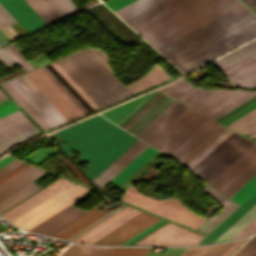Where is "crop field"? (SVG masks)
Here are the masks:
<instances>
[{"instance_id": "crop-field-60", "label": "crop field", "mask_w": 256, "mask_h": 256, "mask_svg": "<svg viewBox=\"0 0 256 256\" xmlns=\"http://www.w3.org/2000/svg\"><path fill=\"white\" fill-rule=\"evenodd\" d=\"M0 16L9 24V26L17 23V21L1 6V4H0Z\"/></svg>"}, {"instance_id": "crop-field-57", "label": "crop field", "mask_w": 256, "mask_h": 256, "mask_svg": "<svg viewBox=\"0 0 256 256\" xmlns=\"http://www.w3.org/2000/svg\"><path fill=\"white\" fill-rule=\"evenodd\" d=\"M100 60L101 62L112 72L108 65L107 55L104 51L96 48H89Z\"/></svg>"}, {"instance_id": "crop-field-18", "label": "crop field", "mask_w": 256, "mask_h": 256, "mask_svg": "<svg viewBox=\"0 0 256 256\" xmlns=\"http://www.w3.org/2000/svg\"><path fill=\"white\" fill-rule=\"evenodd\" d=\"M70 183L71 182L60 178L57 181H55L54 183H52L51 185H49L48 187H46L45 189H43V190L41 189L42 191L30 196L29 198L22 201L21 203L14 206L13 208H11L10 210H8L7 212L3 213L0 216L4 217L5 219L10 221L13 218L17 217L21 213L25 212L32 206L36 205L40 201L44 200L45 198L49 197L50 195L54 194L55 192H57L58 190L62 189L63 187L67 186Z\"/></svg>"}, {"instance_id": "crop-field-33", "label": "crop field", "mask_w": 256, "mask_h": 256, "mask_svg": "<svg viewBox=\"0 0 256 256\" xmlns=\"http://www.w3.org/2000/svg\"><path fill=\"white\" fill-rule=\"evenodd\" d=\"M161 0H136L116 11H114L123 20L152 6ZM127 20V19H126ZM125 21V20H124Z\"/></svg>"}, {"instance_id": "crop-field-69", "label": "crop field", "mask_w": 256, "mask_h": 256, "mask_svg": "<svg viewBox=\"0 0 256 256\" xmlns=\"http://www.w3.org/2000/svg\"><path fill=\"white\" fill-rule=\"evenodd\" d=\"M7 99V97L0 91V101Z\"/></svg>"}, {"instance_id": "crop-field-39", "label": "crop field", "mask_w": 256, "mask_h": 256, "mask_svg": "<svg viewBox=\"0 0 256 256\" xmlns=\"http://www.w3.org/2000/svg\"><path fill=\"white\" fill-rule=\"evenodd\" d=\"M0 3L27 32L36 29V27L14 6L10 0H0Z\"/></svg>"}, {"instance_id": "crop-field-50", "label": "crop field", "mask_w": 256, "mask_h": 256, "mask_svg": "<svg viewBox=\"0 0 256 256\" xmlns=\"http://www.w3.org/2000/svg\"><path fill=\"white\" fill-rule=\"evenodd\" d=\"M31 127H33V125L29 121L24 123V124H22V125H19V126L13 128L11 130H8V131L0 134V141L4 140V139H6V138H8L10 136H13V135H15L17 133H20V132H22V131H24L26 129H29Z\"/></svg>"}, {"instance_id": "crop-field-8", "label": "crop field", "mask_w": 256, "mask_h": 256, "mask_svg": "<svg viewBox=\"0 0 256 256\" xmlns=\"http://www.w3.org/2000/svg\"><path fill=\"white\" fill-rule=\"evenodd\" d=\"M256 175V144L254 143L209 185L231 197Z\"/></svg>"}, {"instance_id": "crop-field-47", "label": "crop field", "mask_w": 256, "mask_h": 256, "mask_svg": "<svg viewBox=\"0 0 256 256\" xmlns=\"http://www.w3.org/2000/svg\"><path fill=\"white\" fill-rule=\"evenodd\" d=\"M10 56L24 69L25 72L33 69L32 65L29 64L25 58L21 55L18 49L14 46L13 43L3 47Z\"/></svg>"}, {"instance_id": "crop-field-45", "label": "crop field", "mask_w": 256, "mask_h": 256, "mask_svg": "<svg viewBox=\"0 0 256 256\" xmlns=\"http://www.w3.org/2000/svg\"><path fill=\"white\" fill-rule=\"evenodd\" d=\"M133 209L134 208H132L130 206L124 208L120 212L116 213L112 217L108 218L104 222L100 223L99 225H97L96 227L92 228L91 230H89L88 232L84 233L83 235H81L80 237L76 238L73 241L80 242V241L84 240L85 238L89 237L93 233L97 232L98 230L102 229L103 227L107 226L108 224L112 223L113 221L117 220L118 218H120L121 216L125 215L126 213L130 212Z\"/></svg>"}, {"instance_id": "crop-field-17", "label": "crop field", "mask_w": 256, "mask_h": 256, "mask_svg": "<svg viewBox=\"0 0 256 256\" xmlns=\"http://www.w3.org/2000/svg\"><path fill=\"white\" fill-rule=\"evenodd\" d=\"M148 146L138 140L93 182L102 188Z\"/></svg>"}, {"instance_id": "crop-field-2", "label": "crop field", "mask_w": 256, "mask_h": 256, "mask_svg": "<svg viewBox=\"0 0 256 256\" xmlns=\"http://www.w3.org/2000/svg\"><path fill=\"white\" fill-rule=\"evenodd\" d=\"M56 133L66 142L60 146L69 157L73 148L92 164L84 171L92 181L138 140L100 115Z\"/></svg>"}, {"instance_id": "crop-field-59", "label": "crop field", "mask_w": 256, "mask_h": 256, "mask_svg": "<svg viewBox=\"0 0 256 256\" xmlns=\"http://www.w3.org/2000/svg\"><path fill=\"white\" fill-rule=\"evenodd\" d=\"M21 116H23V114L19 110H17V111H15L13 113H10V114H8L6 116L1 117L0 118V125L5 124V123H7L9 121H12V120H14L16 118H19Z\"/></svg>"}, {"instance_id": "crop-field-11", "label": "crop field", "mask_w": 256, "mask_h": 256, "mask_svg": "<svg viewBox=\"0 0 256 256\" xmlns=\"http://www.w3.org/2000/svg\"><path fill=\"white\" fill-rule=\"evenodd\" d=\"M174 101L175 99L157 91L118 126L136 136Z\"/></svg>"}, {"instance_id": "crop-field-37", "label": "crop field", "mask_w": 256, "mask_h": 256, "mask_svg": "<svg viewBox=\"0 0 256 256\" xmlns=\"http://www.w3.org/2000/svg\"><path fill=\"white\" fill-rule=\"evenodd\" d=\"M42 133L40 130H38L36 127H33L29 130H26L20 134H17L13 137H10L4 141L0 142V154L4 151L10 149L11 147L15 146L21 141L27 140L29 138H32L38 134Z\"/></svg>"}, {"instance_id": "crop-field-24", "label": "crop field", "mask_w": 256, "mask_h": 256, "mask_svg": "<svg viewBox=\"0 0 256 256\" xmlns=\"http://www.w3.org/2000/svg\"><path fill=\"white\" fill-rule=\"evenodd\" d=\"M170 78L172 77L169 76L165 71H163L159 66L155 64L147 75L135 81L134 83L126 86V88L134 94L151 86L165 82Z\"/></svg>"}, {"instance_id": "crop-field-21", "label": "crop field", "mask_w": 256, "mask_h": 256, "mask_svg": "<svg viewBox=\"0 0 256 256\" xmlns=\"http://www.w3.org/2000/svg\"><path fill=\"white\" fill-rule=\"evenodd\" d=\"M110 201L111 199L105 201L101 205L97 206L96 208L92 209L88 213L84 214L83 216L79 217L75 221L71 222L67 226L58 230L57 232L52 234V236H56L64 239L70 237L74 233L78 232L79 230L83 229L84 227L88 226L92 222L96 221L97 219L107 214V212L98 211L97 209Z\"/></svg>"}, {"instance_id": "crop-field-25", "label": "crop field", "mask_w": 256, "mask_h": 256, "mask_svg": "<svg viewBox=\"0 0 256 256\" xmlns=\"http://www.w3.org/2000/svg\"><path fill=\"white\" fill-rule=\"evenodd\" d=\"M41 189L32 181L0 201V214Z\"/></svg>"}, {"instance_id": "crop-field-27", "label": "crop field", "mask_w": 256, "mask_h": 256, "mask_svg": "<svg viewBox=\"0 0 256 256\" xmlns=\"http://www.w3.org/2000/svg\"><path fill=\"white\" fill-rule=\"evenodd\" d=\"M226 126L256 139V108Z\"/></svg>"}, {"instance_id": "crop-field-13", "label": "crop field", "mask_w": 256, "mask_h": 256, "mask_svg": "<svg viewBox=\"0 0 256 256\" xmlns=\"http://www.w3.org/2000/svg\"><path fill=\"white\" fill-rule=\"evenodd\" d=\"M9 83L52 128L67 122L24 75L9 81Z\"/></svg>"}, {"instance_id": "crop-field-70", "label": "crop field", "mask_w": 256, "mask_h": 256, "mask_svg": "<svg viewBox=\"0 0 256 256\" xmlns=\"http://www.w3.org/2000/svg\"><path fill=\"white\" fill-rule=\"evenodd\" d=\"M8 102H10V101H6V102H4V103H1L0 106L3 105V104H6V103H8Z\"/></svg>"}, {"instance_id": "crop-field-38", "label": "crop field", "mask_w": 256, "mask_h": 256, "mask_svg": "<svg viewBox=\"0 0 256 256\" xmlns=\"http://www.w3.org/2000/svg\"><path fill=\"white\" fill-rule=\"evenodd\" d=\"M255 107L256 96L216 121L226 125Z\"/></svg>"}, {"instance_id": "crop-field-64", "label": "crop field", "mask_w": 256, "mask_h": 256, "mask_svg": "<svg viewBox=\"0 0 256 256\" xmlns=\"http://www.w3.org/2000/svg\"><path fill=\"white\" fill-rule=\"evenodd\" d=\"M24 120H26V117H25V116H23V117H21V118H19V119H16V120H14V121H12V122H9V123H7V124H5V125H2V126H0V131L3 130V129H5V128H8V127H10V126H12V125H14V124H17V123H19V122H21V121H24ZM26 121H28V120H26ZM26 121H24V122H26ZM24 122H21V123H24ZM21 123H19V124H21ZM19 124H17V125H19ZM17 125H15V126H17ZM12 127H14V126H12ZM12 127H10V128H12ZM10 128H8V129H10ZM5 130H7V129H5ZM5 130H3V131H5ZM3 131H1V132H3ZM1 132H0V133H1Z\"/></svg>"}, {"instance_id": "crop-field-29", "label": "crop field", "mask_w": 256, "mask_h": 256, "mask_svg": "<svg viewBox=\"0 0 256 256\" xmlns=\"http://www.w3.org/2000/svg\"><path fill=\"white\" fill-rule=\"evenodd\" d=\"M1 86L43 130L51 129V127L34 111V109L18 94V92L8 82L1 84Z\"/></svg>"}, {"instance_id": "crop-field-48", "label": "crop field", "mask_w": 256, "mask_h": 256, "mask_svg": "<svg viewBox=\"0 0 256 256\" xmlns=\"http://www.w3.org/2000/svg\"><path fill=\"white\" fill-rule=\"evenodd\" d=\"M234 256H256V236L252 237Z\"/></svg>"}, {"instance_id": "crop-field-49", "label": "crop field", "mask_w": 256, "mask_h": 256, "mask_svg": "<svg viewBox=\"0 0 256 256\" xmlns=\"http://www.w3.org/2000/svg\"><path fill=\"white\" fill-rule=\"evenodd\" d=\"M230 244L208 246L198 256H219Z\"/></svg>"}, {"instance_id": "crop-field-5", "label": "crop field", "mask_w": 256, "mask_h": 256, "mask_svg": "<svg viewBox=\"0 0 256 256\" xmlns=\"http://www.w3.org/2000/svg\"><path fill=\"white\" fill-rule=\"evenodd\" d=\"M25 76L68 121L88 113L45 66Z\"/></svg>"}, {"instance_id": "crop-field-40", "label": "crop field", "mask_w": 256, "mask_h": 256, "mask_svg": "<svg viewBox=\"0 0 256 256\" xmlns=\"http://www.w3.org/2000/svg\"><path fill=\"white\" fill-rule=\"evenodd\" d=\"M195 88L196 87L191 86L185 80L181 79L169 86L161 88L160 90L178 99Z\"/></svg>"}, {"instance_id": "crop-field-35", "label": "crop field", "mask_w": 256, "mask_h": 256, "mask_svg": "<svg viewBox=\"0 0 256 256\" xmlns=\"http://www.w3.org/2000/svg\"><path fill=\"white\" fill-rule=\"evenodd\" d=\"M48 8L59 18H63L78 9L72 4L71 0H42Z\"/></svg>"}, {"instance_id": "crop-field-43", "label": "crop field", "mask_w": 256, "mask_h": 256, "mask_svg": "<svg viewBox=\"0 0 256 256\" xmlns=\"http://www.w3.org/2000/svg\"><path fill=\"white\" fill-rule=\"evenodd\" d=\"M49 24L58 18L41 2V0H25Z\"/></svg>"}, {"instance_id": "crop-field-9", "label": "crop field", "mask_w": 256, "mask_h": 256, "mask_svg": "<svg viewBox=\"0 0 256 256\" xmlns=\"http://www.w3.org/2000/svg\"><path fill=\"white\" fill-rule=\"evenodd\" d=\"M123 199L126 202L162 215L194 229H197L205 221V219L196 216L192 211L173 197L156 202L154 200L142 197L132 186H130Z\"/></svg>"}, {"instance_id": "crop-field-15", "label": "crop field", "mask_w": 256, "mask_h": 256, "mask_svg": "<svg viewBox=\"0 0 256 256\" xmlns=\"http://www.w3.org/2000/svg\"><path fill=\"white\" fill-rule=\"evenodd\" d=\"M159 219L143 212L93 244L121 245Z\"/></svg>"}, {"instance_id": "crop-field-7", "label": "crop field", "mask_w": 256, "mask_h": 256, "mask_svg": "<svg viewBox=\"0 0 256 256\" xmlns=\"http://www.w3.org/2000/svg\"><path fill=\"white\" fill-rule=\"evenodd\" d=\"M90 191L72 183L10 222L28 230Z\"/></svg>"}, {"instance_id": "crop-field-23", "label": "crop field", "mask_w": 256, "mask_h": 256, "mask_svg": "<svg viewBox=\"0 0 256 256\" xmlns=\"http://www.w3.org/2000/svg\"><path fill=\"white\" fill-rule=\"evenodd\" d=\"M256 203V193H254L246 202H244L236 211H234L225 221H223L215 230H213L198 245L212 243L227 228H229L238 218H240L248 209Z\"/></svg>"}, {"instance_id": "crop-field-26", "label": "crop field", "mask_w": 256, "mask_h": 256, "mask_svg": "<svg viewBox=\"0 0 256 256\" xmlns=\"http://www.w3.org/2000/svg\"><path fill=\"white\" fill-rule=\"evenodd\" d=\"M158 150L148 147L143 151L135 160H133L125 169H123L115 178L110 182L114 184L116 188L121 184L127 177H129L136 169H138L145 161H147L153 154Z\"/></svg>"}, {"instance_id": "crop-field-62", "label": "crop field", "mask_w": 256, "mask_h": 256, "mask_svg": "<svg viewBox=\"0 0 256 256\" xmlns=\"http://www.w3.org/2000/svg\"><path fill=\"white\" fill-rule=\"evenodd\" d=\"M17 110L12 102L0 107V117Z\"/></svg>"}, {"instance_id": "crop-field-3", "label": "crop field", "mask_w": 256, "mask_h": 256, "mask_svg": "<svg viewBox=\"0 0 256 256\" xmlns=\"http://www.w3.org/2000/svg\"><path fill=\"white\" fill-rule=\"evenodd\" d=\"M221 127L222 125L217 130H215L207 139H205L197 148H195L187 157H185L181 162L183 163L188 157H190L202 144H204ZM226 129L227 128L223 126L204 145H202L190 158H188L183 163V165L186 166L190 161H192L200 152H202L211 142H213ZM241 138L242 136L227 129L223 134H221L213 143H211L202 153H200L186 167L193 174L200 177ZM252 144L253 142L243 137L200 178L209 184L214 178H216L225 168H227L237 157H239Z\"/></svg>"}, {"instance_id": "crop-field-44", "label": "crop field", "mask_w": 256, "mask_h": 256, "mask_svg": "<svg viewBox=\"0 0 256 256\" xmlns=\"http://www.w3.org/2000/svg\"><path fill=\"white\" fill-rule=\"evenodd\" d=\"M254 192H256V176L252 178L245 186H243L235 195L230 199L242 204L246 201Z\"/></svg>"}, {"instance_id": "crop-field-65", "label": "crop field", "mask_w": 256, "mask_h": 256, "mask_svg": "<svg viewBox=\"0 0 256 256\" xmlns=\"http://www.w3.org/2000/svg\"><path fill=\"white\" fill-rule=\"evenodd\" d=\"M164 220H160L158 222H156L155 224H153L152 226H150L149 228H147L146 230H144L143 232L139 233L138 235H136L135 237H133L132 239H130L129 241H127L126 243H124L123 245H126L128 243H130L131 241H133L134 239L138 238L139 236H141L142 234L146 233L147 231H149L150 229L154 228L155 226H157L158 224L162 223Z\"/></svg>"}, {"instance_id": "crop-field-68", "label": "crop field", "mask_w": 256, "mask_h": 256, "mask_svg": "<svg viewBox=\"0 0 256 256\" xmlns=\"http://www.w3.org/2000/svg\"><path fill=\"white\" fill-rule=\"evenodd\" d=\"M8 41V39L0 32V44Z\"/></svg>"}, {"instance_id": "crop-field-34", "label": "crop field", "mask_w": 256, "mask_h": 256, "mask_svg": "<svg viewBox=\"0 0 256 256\" xmlns=\"http://www.w3.org/2000/svg\"><path fill=\"white\" fill-rule=\"evenodd\" d=\"M109 249L71 244L61 256H103Z\"/></svg>"}, {"instance_id": "crop-field-66", "label": "crop field", "mask_w": 256, "mask_h": 256, "mask_svg": "<svg viewBox=\"0 0 256 256\" xmlns=\"http://www.w3.org/2000/svg\"><path fill=\"white\" fill-rule=\"evenodd\" d=\"M252 9L256 11V0H244Z\"/></svg>"}, {"instance_id": "crop-field-52", "label": "crop field", "mask_w": 256, "mask_h": 256, "mask_svg": "<svg viewBox=\"0 0 256 256\" xmlns=\"http://www.w3.org/2000/svg\"><path fill=\"white\" fill-rule=\"evenodd\" d=\"M9 25V24H8ZM0 17V30L9 39L18 37V35L8 26Z\"/></svg>"}, {"instance_id": "crop-field-58", "label": "crop field", "mask_w": 256, "mask_h": 256, "mask_svg": "<svg viewBox=\"0 0 256 256\" xmlns=\"http://www.w3.org/2000/svg\"><path fill=\"white\" fill-rule=\"evenodd\" d=\"M247 239H248V238L235 241V242H234L223 254H221L220 256H230V255L233 254Z\"/></svg>"}, {"instance_id": "crop-field-63", "label": "crop field", "mask_w": 256, "mask_h": 256, "mask_svg": "<svg viewBox=\"0 0 256 256\" xmlns=\"http://www.w3.org/2000/svg\"><path fill=\"white\" fill-rule=\"evenodd\" d=\"M204 248H187L180 256H197Z\"/></svg>"}, {"instance_id": "crop-field-22", "label": "crop field", "mask_w": 256, "mask_h": 256, "mask_svg": "<svg viewBox=\"0 0 256 256\" xmlns=\"http://www.w3.org/2000/svg\"><path fill=\"white\" fill-rule=\"evenodd\" d=\"M61 76L84 98V100L94 109H99L92 100L77 86V84L62 70V68L56 63L51 64ZM50 64L46 67L56 76V78L79 100V102L89 111H94L83 98L60 76V74Z\"/></svg>"}, {"instance_id": "crop-field-41", "label": "crop field", "mask_w": 256, "mask_h": 256, "mask_svg": "<svg viewBox=\"0 0 256 256\" xmlns=\"http://www.w3.org/2000/svg\"><path fill=\"white\" fill-rule=\"evenodd\" d=\"M37 27L46 25V23L35 13V11L24 0H11Z\"/></svg>"}, {"instance_id": "crop-field-31", "label": "crop field", "mask_w": 256, "mask_h": 256, "mask_svg": "<svg viewBox=\"0 0 256 256\" xmlns=\"http://www.w3.org/2000/svg\"><path fill=\"white\" fill-rule=\"evenodd\" d=\"M152 93H150V94H152ZM150 94L140 97L136 100H133V101L126 103L122 106H119L117 108H114L110 111H107V112L103 113V115L105 117H107L109 120H111L117 124L127 114H129L134 108H136L142 101H144Z\"/></svg>"}, {"instance_id": "crop-field-61", "label": "crop field", "mask_w": 256, "mask_h": 256, "mask_svg": "<svg viewBox=\"0 0 256 256\" xmlns=\"http://www.w3.org/2000/svg\"><path fill=\"white\" fill-rule=\"evenodd\" d=\"M29 165L27 164H22L21 166L17 167L16 169H14L13 171L9 172L8 174H6L5 176L0 178V184L3 183L4 181L8 180L9 178H11L12 176H14L15 174L19 173L20 171H22L23 169L27 168Z\"/></svg>"}, {"instance_id": "crop-field-20", "label": "crop field", "mask_w": 256, "mask_h": 256, "mask_svg": "<svg viewBox=\"0 0 256 256\" xmlns=\"http://www.w3.org/2000/svg\"><path fill=\"white\" fill-rule=\"evenodd\" d=\"M186 107L187 106L177 101L137 137L148 143Z\"/></svg>"}, {"instance_id": "crop-field-1", "label": "crop field", "mask_w": 256, "mask_h": 256, "mask_svg": "<svg viewBox=\"0 0 256 256\" xmlns=\"http://www.w3.org/2000/svg\"><path fill=\"white\" fill-rule=\"evenodd\" d=\"M256 36V17L242 5L157 49L184 74Z\"/></svg>"}, {"instance_id": "crop-field-4", "label": "crop field", "mask_w": 256, "mask_h": 256, "mask_svg": "<svg viewBox=\"0 0 256 256\" xmlns=\"http://www.w3.org/2000/svg\"><path fill=\"white\" fill-rule=\"evenodd\" d=\"M220 125L187 107L148 144L181 161Z\"/></svg>"}, {"instance_id": "crop-field-30", "label": "crop field", "mask_w": 256, "mask_h": 256, "mask_svg": "<svg viewBox=\"0 0 256 256\" xmlns=\"http://www.w3.org/2000/svg\"><path fill=\"white\" fill-rule=\"evenodd\" d=\"M223 211L218 215L207 219L197 230L208 234L213 228H215L221 221H223L231 212H233L238 206L232 203L230 200H225Z\"/></svg>"}, {"instance_id": "crop-field-19", "label": "crop field", "mask_w": 256, "mask_h": 256, "mask_svg": "<svg viewBox=\"0 0 256 256\" xmlns=\"http://www.w3.org/2000/svg\"><path fill=\"white\" fill-rule=\"evenodd\" d=\"M57 63L93 100V102L99 108L109 104V102L87 81V79L66 58L57 61Z\"/></svg>"}, {"instance_id": "crop-field-42", "label": "crop field", "mask_w": 256, "mask_h": 256, "mask_svg": "<svg viewBox=\"0 0 256 256\" xmlns=\"http://www.w3.org/2000/svg\"><path fill=\"white\" fill-rule=\"evenodd\" d=\"M216 91H218V90L197 88V89H195L192 92L186 94L185 96H183L182 98H180L178 100H180V101H182V102L191 106V105L197 103L198 101L204 99L205 97L213 94Z\"/></svg>"}, {"instance_id": "crop-field-6", "label": "crop field", "mask_w": 256, "mask_h": 256, "mask_svg": "<svg viewBox=\"0 0 256 256\" xmlns=\"http://www.w3.org/2000/svg\"><path fill=\"white\" fill-rule=\"evenodd\" d=\"M67 59L110 103L131 95L88 50Z\"/></svg>"}, {"instance_id": "crop-field-36", "label": "crop field", "mask_w": 256, "mask_h": 256, "mask_svg": "<svg viewBox=\"0 0 256 256\" xmlns=\"http://www.w3.org/2000/svg\"><path fill=\"white\" fill-rule=\"evenodd\" d=\"M141 212L142 211H139L137 209L131 211L130 213L126 214L122 218L118 219L117 221L113 222L112 224L108 225L107 227L103 228L102 230L98 231L97 233H95L94 235L90 236L89 238L85 239L82 242L83 243H88V244H91V243L95 242L99 238L103 237L107 233L111 232L112 230L119 227L120 225L127 222L128 220L135 217L136 215H138Z\"/></svg>"}, {"instance_id": "crop-field-46", "label": "crop field", "mask_w": 256, "mask_h": 256, "mask_svg": "<svg viewBox=\"0 0 256 256\" xmlns=\"http://www.w3.org/2000/svg\"><path fill=\"white\" fill-rule=\"evenodd\" d=\"M151 248H111L104 256H144Z\"/></svg>"}, {"instance_id": "crop-field-14", "label": "crop field", "mask_w": 256, "mask_h": 256, "mask_svg": "<svg viewBox=\"0 0 256 256\" xmlns=\"http://www.w3.org/2000/svg\"><path fill=\"white\" fill-rule=\"evenodd\" d=\"M202 238L200 234L168 222L133 245H195Z\"/></svg>"}, {"instance_id": "crop-field-51", "label": "crop field", "mask_w": 256, "mask_h": 256, "mask_svg": "<svg viewBox=\"0 0 256 256\" xmlns=\"http://www.w3.org/2000/svg\"><path fill=\"white\" fill-rule=\"evenodd\" d=\"M36 168L30 166L27 169L23 170L22 172H20L19 174L15 175L14 177H12L11 179H9L8 181L4 182L3 184L0 185V191L3 190L4 188L8 187L9 185H11L12 183L16 182L17 180H19L20 178L24 177L25 175L29 174L30 172H32L33 170H35Z\"/></svg>"}, {"instance_id": "crop-field-67", "label": "crop field", "mask_w": 256, "mask_h": 256, "mask_svg": "<svg viewBox=\"0 0 256 256\" xmlns=\"http://www.w3.org/2000/svg\"><path fill=\"white\" fill-rule=\"evenodd\" d=\"M12 158H9V157H4L2 159H0V167L3 166L4 164H6L7 162L11 161Z\"/></svg>"}, {"instance_id": "crop-field-53", "label": "crop field", "mask_w": 256, "mask_h": 256, "mask_svg": "<svg viewBox=\"0 0 256 256\" xmlns=\"http://www.w3.org/2000/svg\"><path fill=\"white\" fill-rule=\"evenodd\" d=\"M256 230V218L253 219L245 228H243L234 238L253 233Z\"/></svg>"}, {"instance_id": "crop-field-28", "label": "crop field", "mask_w": 256, "mask_h": 256, "mask_svg": "<svg viewBox=\"0 0 256 256\" xmlns=\"http://www.w3.org/2000/svg\"><path fill=\"white\" fill-rule=\"evenodd\" d=\"M183 0H163L152 7L128 18L125 20L126 23H128L131 27L160 13L161 11L181 2Z\"/></svg>"}, {"instance_id": "crop-field-56", "label": "crop field", "mask_w": 256, "mask_h": 256, "mask_svg": "<svg viewBox=\"0 0 256 256\" xmlns=\"http://www.w3.org/2000/svg\"><path fill=\"white\" fill-rule=\"evenodd\" d=\"M22 163L23 162L14 159L11 162H9L8 164L4 165L3 167L0 168V177L3 176L4 174L8 173L12 169L16 168L17 166H19Z\"/></svg>"}, {"instance_id": "crop-field-55", "label": "crop field", "mask_w": 256, "mask_h": 256, "mask_svg": "<svg viewBox=\"0 0 256 256\" xmlns=\"http://www.w3.org/2000/svg\"><path fill=\"white\" fill-rule=\"evenodd\" d=\"M132 1H134V0H108L104 3L114 11Z\"/></svg>"}, {"instance_id": "crop-field-12", "label": "crop field", "mask_w": 256, "mask_h": 256, "mask_svg": "<svg viewBox=\"0 0 256 256\" xmlns=\"http://www.w3.org/2000/svg\"><path fill=\"white\" fill-rule=\"evenodd\" d=\"M255 95L254 91L220 90L191 107L216 120Z\"/></svg>"}, {"instance_id": "crop-field-16", "label": "crop field", "mask_w": 256, "mask_h": 256, "mask_svg": "<svg viewBox=\"0 0 256 256\" xmlns=\"http://www.w3.org/2000/svg\"><path fill=\"white\" fill-rule=\"evenodd\" d=\"M86 212L87 211L69 205L29 231L49 235Z\"/></svg>"}, {"instance_id": "crop-field-10", "label": "crop field", "mask_w": 256, "mask_h": 256, "mask_svg": "<svg viewBox=\"0 0 256 256\" xmlns=\"http://www.w3.org/2000/svg\"><path fill=\"white\" fill-rule=\"evenodd\" d=\"M255 47H256V40L249 43L248 45L216 60V62L213 64L218 67V66L254 49ZM255 58H256V48L254 50L218 67V68L225 74V73H227V72L255 59ZM225 75L234 84H236L239 87H255L256 88V59L225 74Z\"/></svg>"}, {"instance_id": "crop-field-54", "label": "crop field", "mask_w": 256, "mask_h": 256, "mask_svg": "<svg viewBox=\"0 0 256 256\" xmlns=\"http://www.w3.org/2000/svg\"><path fill=\"white\" fill-rule=\"evenodd\" d=\"M0 61L7 67H11L17 64L6 52L3 48H0Z\"/></svg>"}, {"instance_id": "crop-field-32", "label": "crop field", "mask_w": 256, "mask_h": 256, "mask_svg": "<svg viewBox=\"0 0 256 256\" xmlns=\"http://www.w3.org/2000/svg\"><path fill=\"white\" fill-rule=\"evenodd\" d=\"M256 216V205L253 206L246 214H244L236 223H234L227 231H225L213 243L230 240L245 225H247Z\"/></svg>"}]
</instances>
